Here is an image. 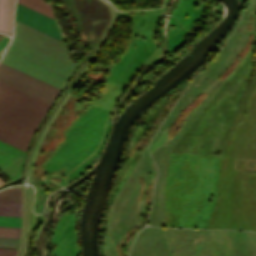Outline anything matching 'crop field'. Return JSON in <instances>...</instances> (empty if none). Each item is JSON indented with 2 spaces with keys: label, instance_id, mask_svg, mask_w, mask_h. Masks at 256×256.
I'll use <instances>...</instances> for the list:
<instances>
[{
  "label": "crop field",
  "instance_id": "1",
  "mask_svg": "<svg viewBox=\"0 0 256 256\" xmlns=\"http://www.w3.org/2000/svg\"><path fill=\"white\" fill-rule=\"evenodd\" d=\"M1 60L60 89L76 67L68 61L61 42L16 21L13 38Z\"/></svg>",
  "mask_w": 256,
  "mask_h": 256
},
{
  "label": "crop field",
  "instance_id": "2",
  "mask_svg": "<svg viewBox=\"0 0 256 256\" xmlns=\"http://www.w3.org/2000/svg\"><path fill=\"white\" fill-rule=\"evenodd\" d=\"M50 104L0 83V140L26 151Z\"/></svg>",
  "mask_w": 256,
  "mask_h": 256
},
{
  "label": "crop field",
  "instance_id": "3",
  "mask_svg": "<svg viewBox=\"0 0 256 256\" xmlns=\"http://www.w3.org/2000/svg\"><path fill=\"white\" fill-rule=\"evenodd\" d=\"M0 82L37 97L50 104L60 89L0 62Z\"/></svg>",
  "mask_w": 256,
  "mask_h": 256
},
{
  "label": "crop field",
  "instance_id": "4",
  "mask_svg": "<svg viewBox=\"0 0 256 256\" xmlns=\"http://www.w3.org/2000/svg\"><path fill=\"white\" fill-rule=\"evenodd\" d=\"M15 20L61 41L56 22L54 20L18 2L16 6Z\"/></svg>",
  "mask_w": 256,
  "mask_h": 256
},
{
  "label": "crop field",
  "instance_id": "5",
  "mask_svg": "<svg viewBox=\"0 0 256 256\" xmlns=\"http://www.w3.org/2000/svg\"><path fill=\"white\" fill-rule=\"evenodd\" d=\"M24 154L0 142V170L13 179L17 176L21 168Z\"/></svg>",
  "mask_w": 256,
  "mask_h": 256
},
{
  "label": "crop field",
  "instance_id": "6",
  "mask_svg": "<svg viewBox=\"0 0 256 256\" xmlns=\"http://www.w3.org/2000/svg\"><path fill=\"white\" fill-rule=\"evenodd\" d=\"M0 216L21 218V204L0 202ZM1 217H0L1 226L21 227V219L1 218Z\"/></svg>",
  "mask_w": 256,
  "mask_h": 256
},
{
  "label": "crop field",
  "instance_id": "7",
  "mask_svg": "<svg viewBox=\"0 0 256 256\" xmlns=\"http://www.w3.org/2000/svg\"><path fill=\"white\" fill-rule=\"evenodd\" d=\"M15 0H0V32L11 35Z\"/></svg>",
  "mask_w": 256,
  "mask_h": 256
},
{
  "label": "crop field",
  "instance_id": "8",
  "mask_svg": "<svg viewBox=\"0 0 256 256\" xmlns=\"http://www.w3.org/2000/svg\"><path fill=\"white\" fill-rule=\"evenodd\" d=\"M17 1L54 18L51 10V6L46 2H44L43 0H17Z\"/></svg>",
  "mask_w": 256,
  "mask_h": 256
},
{
  "label": "crop field",
  "instance_id": "9",
  "mask_svg": "<svg viewBox=\"0 0 256 256\" xmlns=\"http://www.w3.org/2000/svg\"><path fill=\"white\" fill-rule=\"evenodd\" d=\"M20 231H21V228L1 227L0 226V237L19 238L20 237Z\"/></svg>",
  "mask_w": 256,
  "mask_h": 256
},
{
  "label": "crop field",
  "instance_id": "10",
  "mask_svg": "<svg viewBox=\"0 0 256 256\" xmlns=\"http://www.w3.org/2000/svg\"><path fill=\"white\" fill-rule=\"evenodd\" d=\"M19 239L0 238V248L17 249Z\"/></svg>",
  "mask_w": 256,
  "mask_h": 256
},
{
  "label": "crop field",
  "instance_id": "11",
  "mask_svg": "<svg viewBox=\"0 0 256 256\" xmlns=\"http://www.w3.org/2000/svg\"><path fill=\"white\" fill-rule=\"evenodd\" d=\"M17 250L0 249V256H15Z\"/></svg>",
  "mask_w": 256,
  "mask_h": 256
},
{
  "label": "crop field",
  "instance_id": "12",
  "mask_svg": "<svg viewBox=\"0 0 256 256\" xmlns=\"http://www.w3.org/2000/svg\"><path fill=\"white\" fill-rule=\"evenodd\" d=\"M10 37L5 36L2 40H0V55L3 52L5 46L7 45Z\"/></svg>",
  "mask_w": 256,
  "mask_h": 256
},
{
  "label": "crop field",
  "instance_id": "13",
  "mask_svg": "<svg viewBox=\"0 0 256 256\" xmlns=\"http://www.w3.org/2000/svg\"><path fill=\"white\" fill-rule=\"evenodd\" d=\"M3 184H5V183H4L3 180L0 178V186L3 185Z\"/></svg>",
  "mask_w": 256,
  "mask_h": 256
}]
</instances>
